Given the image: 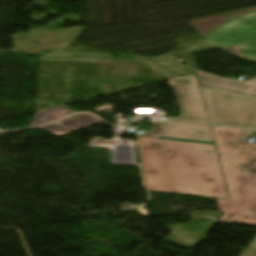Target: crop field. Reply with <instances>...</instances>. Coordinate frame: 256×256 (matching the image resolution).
<instances>
[{"label": "crop field", "instance_id": "crop-field-6", "mask_svg": "<svg viewBox=\"0 0 256 256\" xmlns=\"http://www.w3.org/2000/svg\"><path fill=\"white\" fill-rule=\"evenodd\" d=\"M140 137L149 138H174L184 140L200 141V143L213 144L209 127L190 125V124H179L169 122H153V130L138 134Z\"/></svg>", "mask_w": 256, "mask_h": 256}, {"label": "crop field", "instance_id": "crop-field-4", "mask_svg": "<svg viewBox=\"0 0 256 256\" xmlns=\"http://www.w3.org/2000/svg\"><path fill=\"white\" fill-rule=\"evenodd\" d=\"M204 38L217 47L236 48L244 58L256 60V11L229 20Z\"/></svg>", "mask_w": 256, "mask_h": 256}, {"label": "crop field", "instance_id": "crop-field-3", "mask_svg": "<svg viewBox=\"0 0 256 256\" xmlns=\"http://www.w3.org/2000/svg\"><path fill=\"white\" fill-rule=\"evenodd\" d=\"M201 88L211 125L256 130V97Z\"/></svg>", "mask_w": 256, "mask_h": 256}, {"label": "crop field", "instance_id": "crop-field-10", "mask_svg": "<svg viewBox=\"0 0 256 256\" xmlns=\"http://www.w3.org/2000/svg\"><path fill=\"white\" fill-rule=\"evenodd\" d=\"M249 246L256 249V238L252 241V243Z\"/></svg>", "mask_w": 256, "mask_h": 256}, {"label": "crop field", "instance_id": "crop-field-8", "mask_svg": "<svg viewBox=\"0 0 256 256\" xmlns=\"http://www.w3.org/2000/svg\"><path fill=\"white\" fill-rule=\"evenodd\" d=\"M98 122L101 121L92 115L76 114L37 129L59 136Z\"/></svg>", "mask_w": 256, "mask_h": 256}, {"label": "crop field", "instance_id": "crop-field-5", "mask_svg": "<svg viewBox=\"0 0 256 256\" xmlns=\"http://www.w3.org/2000/svg\"><path fill=\"white\" fill-rule=\"evenodd\" d=\"M168 82L176 92L182 113L171 120L208 124L196 76L181 77Z\"/></svg>", "mask_w": 256, "mask_h": 256}, {"label": "crop field", "instance_id": "crop-field-2", "mask_svg": "<svg viewBox=\"0 0 256 256\" xmlns=\"http://www.w3.org/2000/svg\"><path fill=\"white\" fill-rule=\"evenodd\" d=\"M211 129L230 198H217L219 222L256 225V146L242 144L248 131Z\"/></svg>", "mask_w": 256, "mask_h": 256}, {"label": "crop field", "instance_id": "crop-field-1", "mask_svg": "<svg viewBox=\"0 0 256 256\" xmlns=\"http://www.w3.org/2000/svg\"><path fill=\"white\" fill-rule=\"evenodd\" d=\"M147 190L227 198L214 146L137 137Z\"/></svg>", "mask_w": 256, "mask_h": 256}, {"label": "crop field", "instance_id": "crop-field-7", "mask_svg": "<svg viewBox=\"0 0 256 256\" xmlns=\"http://www.w3.org/2000/svg\"><path fill=\"white\" fill-rule=\"evenodd\" d=\"M199 83L202 85L214 86L229 89L236 92L256 95V77L250 81H238L227 78L218 77L212 74L200 72L196 70Z\"/></svg>", "mask_w": 256, "mask_h": 256}, {"label": "crop field", "instance_id": "crop-field-9", "mask_svg": "<svg viewBox=\"0 0 256 256\" xmlns=\"http://www.w3.org/2000/svg\"><path fill=\"white\" fill-rule=\"evenodd\" d=\"M70 113H74V111L65 106L38 112L35 114L31 127L55 120Z\"/></svg>", "mask_w": 256, "mask_h": 256}]
</instances>
